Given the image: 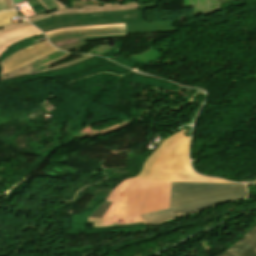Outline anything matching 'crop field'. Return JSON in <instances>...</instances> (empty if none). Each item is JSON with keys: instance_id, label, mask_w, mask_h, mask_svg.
I'll use <instances>...</instances> for the list:
<instances>
[{"instance_id": "8a807250", "label": "crop field", "mask_w": 256, "mask_h": 256, "mask_svg": "<svg viewBox=\"0 0 256 256\" xmlns=\"http://www.w3.org/2000/svg\"><path fill=\"white\" fill-rule=\"evenodd\" d=\"M185 132L186 128L165 139L145 161L139 175L130 179L234 183L202 177L192 170L188 157L190 137H185Z\"/></svg>"}, {"instance_id": "ac0d7876", "label": "crop field", "mask_w": 256, "mask_h": 256, "mask_svg": "<svg viewBox=\"0 0 256 256\" xmlns=\"http://www.w3.org/2000/svg\"><path fill=\"white\" fill-rule=\"evenodd\" d=\"M247 195L245 184L172 182L170 209L141 215L145 223L153 225L180 214L171 211L217 200Z\"/></svg>"}, {"instance_id": "34b2d1b8", "label": "crop field", "mask_w": 256, "mask_h": 256, "mask_svg": "<svg viewBox=\"0 0 256 256\" xmlns=\"http://www.w3.org/2000/svg\"><path fill=\"white\" fill-rule=\"evenodd\" d=\"M171 182L129 180L128 224L143 222L139 214L169 208Z\"/></svg>"}, {"instance_id": "412701ff", "label": "crop field", "mask_w": 256, "mask_h": 256, "mask_svg": "<svg viewBox=\"0 0 256 256\" xmlns=\"http://www.w3.org/2000/svg\"><path fill=\"white\" fill-rule=\"evenodd\" d=\"M139 5L141 10L53 16L32 24L46 32L69 26L143 22L145 21L143 9L157 8V2Z\"/></svg>"}, {"instance_id": "f4fd0767", "label": "crop field", "mask_w": 256, "mask_h": 256, "mask_svg": "<svg viewBox=\"0 0 256 256\" xmlns=\"http://www.w3.org/2000/svg\"><path fill=\"white\" fill-rule=\"evenodd\" d=\"M128 191V179L116 187L110 194L107 201L112 202L107 213L102 219H88L87 222H94L93 227L117 226L127 224L126 201Z\"/></svg>"}, {"instance_id": "dd49c442", "label": "crop field", "mask_w": 256, "mask_h": 256, "mask_svg": "<svg viewBox=\"0 0 256 256\" xmlns=\"http://www.w3.org/2000/svg\"><path fill=\"white\" fill-rule=\"evenodd\" d=\"M54 49L56 48L52 47L48 40H46L29 48L18 51L1 63L3 66L2 75L20 68L42 56L52 53L55 51Z\"/></svg>"}, {"instance_id": "e52e79f7", "label": "crop field", "mask_w": 256, "mask_h": 256, "mask_svg": "<svg viewBox=\"0 0 256 256\" xmlns=\"http://www.w3.org/2000/svg\"><path fill=\"white\" fill-rule=\"evenodd\" d=\"M140 9L138 4H113L105 6H95L86 8H65L54 11L55 15L69 14V13H92V12H106L119 10Z\"/></svg>"}, {"instance_id": "d8731c3e", "label": "crop field", "mask_w": 256, "mask_h": 256, "mask_svg": "<svg viewBox=\"0 0 256 256\" xmlns=\"http://www.w3.org/2000/svg\"><path fill=\"white\" fill-rule=\"evenodd\" d=\"M42 34L35 27H27L16 31L9 32L0 36V55L9 48L12 44L32 36Z\"/></svg>"}, {"instance_id": "5a996713", "label": "crop field", "mask_w": 256, "mask_h": 256, "mask_svg": "<svg viewBox=\"0 0 256 256\" xmlns=\"http://www.w3.org/2000/svg\"><path fill=\"white\" fill-rule=\"evenodd\" d=\"M84 35H85V38L69 39V40L54 42L52 44L60 49H63V48L70 47V46L80 44V43H83L85 41H90V40H101V39H107V38L127 37L126 31L91 33V34H84Z\"/></svg>"}, {"instance_id": "3316defc", "label": "crop field", "mask_w": 256, "mask_h": 256, "mask_svg": "<svg viewBox=\"0 0 256 256\" xmlns=\"http://www.w3.org/2000/svg\"><path fill=\"white\" fill-rule=\"evenodd\" d=\"M174 21L166 22H153V23H134V24H125L127 29V34L129 33H139V32H155V31H171L178 30L177 27H174Z\"/></svg>"}, {"instance_id": "28ad6ade", "label": "crop field", "mask_w": 256, "mask_h": 256, "mask_svg": "<svg viewBox=\"0 0 256 256\" xmlns=\"http://www.w3.org/2000/svg\"><path fill=\"white\" fill-rule=\"evenodd\" d=\"M231 249L240 256H256V227L250 229Z\"/></svg>"}, {"instance_id": "d1516ede", "label": "crop field", "mask_w": 256, "mask_h": 256, "mask_svg": "<svg viewBox=\"0 0 256 256\" xmlns=\"http://www.w3.org/2000/svg\"><path fill=\"white\" fill-rule=\"evenodd\" d=\"M119 30H125V28L124 27H114V28L79 29V30H71V31H64V32L49 34V35H47V37H48V39H50L53 37L70 34V33H91V32H105V31H119Z\"/></svg>"}, {"instance_id": "22f410ed", "label": "crop field", "mask_w": 256, "mask_h": 256, "mask_svg": "<svg viewBox=\"0 0 256 256\" xmlns=\"http://www.w3.org/2000/svg\"><path fill=\"white\" fill-rule=\"evenodd\" d=\"M245 197H247V196H245ZM245 197H240V198H235V199H230V200H225V201L206 203V204H202V205H198V206H194V207H190V208L174 211L173 214L181 213L183 215V214H187V213H191V212L202 210L204 208L213 206L215 204H220V203H223V202H226V201H232V200H237V199H244Z\"/></svg>"}, {"instance_id": "cbeb9de0", "label": "crop field", "mask_w": 256, "mask_h": 256, "mask_svg": "<svg viewBox=\"0 0 256 256\" xmlns=\"http://www.w3.org/2000/svg\"><path fill=\"white\" fill-rule=\"evenodd\" d=\"M36 69L29 63L28 65L20 68V69H17L13 72H10L4 76H2L1 80H4V79H10L12 77H18V76H22V75H29L31 74V72H35Z\"/></svg>"}, {"instance_id": "5142ce71", "label": "crop field", "mask_w": 256, "mask_h": 256, "mask_svg": "<svg viewBox=\"0 0 256 256\" xmlns=\"http://www.w3.org/2000/svg\"><path fill=\"white\" fill-rule=\"evenodd\" d=\"M93 56H94V55H86V56H84V57H81V58H78V59H76V60L70 61V62H68V63L62 64V65H60V66H56V67L49 68V69H46V70H43V71H39V72L50 71V70H55V69H59V68L68 67V66L77 64V63H79V62H82V61H84V60H87V59H89V58H91V57H93ZM36 73H38V72H36Z\"/></svg>"}, {"instance_id": "d9b57169", "label": "crop field", "mask_w": 256, "mask_h": 256, "mask_svg": "<svg viewBox=\"0 0 256 256\" xmlns=\"http://www.w3.org/2000/svg\"><path fill=\"white\" fill-rule=\"evenodd\" d=\"M30 25L31 24H29L27 21H24V22H20L18 24H15V25L0 28V35L5 34L9 31L16 30V29L23 28V27L30 26Z\"/></svg>"}, {"instance_id": "733c2abd", "label": "crop field", "mask_w": 256, "mask_h": 256, "mask_svg": "<svg viewBox=\"0 0 256 256\" xmlns=\"http://www.w3.org/2000/svg\"><path fill=\"white\" fill-rule=\"evenodd\" d=\"M114 26H124V24H116V25H99V26H81V27H69V28L57 29V30H55V31H51V32H46L45 34H48V33H54V32L63 31V30L78 29V28L114 27Z\"/></svg>"}, {"instance_id": "4a817a6b", "label": "crop field", "mask_w": 256, "mask_h": 256, "mask_svg": "<svg viewBox=\"0 0 256 256\" xmlns=\"http://www.w3.org/2000/svg\"><path fill=\"white\" fill-rule=\"evenodd\" d=\"M44 5L49 9L58 8V6L52 0H41Z\"/></svg>"}, {"instance_id": "bc2a9ffb", "label": "crop field", "mask_w": 256, "mask_h": 256, "mask_svg": "<svg viewBox=\"0 0 256 256\" xmlns=\"http://www.w3.org/2000/svg\"><path fill=\"white\" fill-rule=\"evenodd\" d=\"M219 256H239L237 255L235 252H233L231 249H229L228 251L226 252H223L221 255Z\"/></svg>"}, {"instance_id": "214f88e0", "label": "crop field", "mask_w": 256, "mask_h": 256, "mask_svg": "<svg viewBox=\"0 0 256 256\" xmlns=\"http://www.w3.org/2000/svg\"><path fill=\"white\" fill-rule=\"evenodd\" d=\"M53 15H54L53 12H51V13H48V14H45V15H42V16L30 19L29 21L32 22V21H35V20H38V19H42V18L53 16Z\"/></svg>"}, {"instance_id": "92a150f3", "label": "crop field", "mask_w": 256, "mask_h": 256, "mask_svg": "<svg viewBox=\"0 0 256 256\" xmlns=\"http://www.w3.org/2000/svg\"><path fill=\"white\" fill-rule=\"evenodd\" d=\"M38 1H39V3H40L48 12H50V11L42 4V2H41L40 0H38ZM54 2H55L60 8L68 7V6H66V5H63V4L59 3L57 0H54ZM51 11H52V10H51Z\"/></svg>"}, {"instance_id": "dafd665d", "label": "crop field", "mask_w": 256, "mask_h": 256, "mask_svg": "<svg viewBox=\"0 0 256 256\" xmlns=\"http://www.w3.org/2000/svg\"><path fill=\"white\" fill-rule=\"evenodd\" d=\"M84 46H86V43L76 45V46H73V47H70V48H66V49H63V50L70 51V50H74V49L81 48V47H84Z\"/></svg>"}, {"instance_id": "00972430", "label": "crop field", "mask_w": 256, "mask_h": 256, "mask_svg": "<svg viewBox=\"0 0 256 256\" xmlns=\"http://www.w3.org/2000/svg\"><path fill=\"white\" fill-rule=\"evenodd\" d=\"M5 4H6L8 10L13 9V6H12V3L10 0H5Z\"/></svg>"}, {"instance_id": "a9b5d70f", "label": "crop field", "mask_w": 256, "mask_h": 256, "mask_svg": "<svg viewBox=\"0 0 256 256\" xmlns=\"http://www.w3.org/2000/svg\"><path fill=\"white\" fill-rule=\"evenodd\" d=\"M7 10L3 0H0V11Z\"/></svg>"}, {"instance_id": "4177f3b9", "label": "crop field", "mask_w": 256, "mask_h": 256, "mask_svg": "<svg viewBox=\"0 0 256 256\" xmlns=\"http://www.w3.org/2000/svg\"><path fill=\"white\" fill-rule=\"evenodd\" d=\"M75 36H83V35H75ZM68 37H72V36H68ZM61 38H66V37H61ZM56 39H60V38H56ZM51 40H55V39H51ZM49 40V41H51Z\"/></svg>"}, {"instance_id": "730fd06b", "label": "crop field", "mask_w": 256, "mask_h": 256, "mask_svg": "<svg viewBox=\"0 0 256 256\" xmlns=\"http://www.w3.org/2000/svg\"><path fill=\"white\" fill-rule=\"evenodd\" d=\"M22 1H24V0H13V3L15 4V3H18V2H22Z\"/></svg>"}, {"instance_id": "eef30255", "label": "crop field", "mask_w": 256, "mask_h": 256, "mask_svg": "<svg viewBox=\"0 0 256 256\" xmlns=\"http://www.w3.org/2000/svg\"><path fill=\"white\" fill-rule=\"evenodd\" d=\"M162 141H163V140H161V141L155 143L154 145L158 146Z\"/></svg>"}, {"instance_id": "ae1a2a85", "label": "crop field", "mask_w": 256, "mask_h": 256, "mask_svg": "<svg viewBox=\"0 0 256 256\" xmlns=\"http://www.w3.org/2000/svg\"><path fill=\"white\" fill-rule=\"evenodd\" d=\"M73 38H78V37H73ZM66 39H69V38H66ZM60 40H64V39H60ZM56 41H58V40H56ZM53 42V41H52ZM51 43V42H50Z\"/></svg>"}]
</instances>
